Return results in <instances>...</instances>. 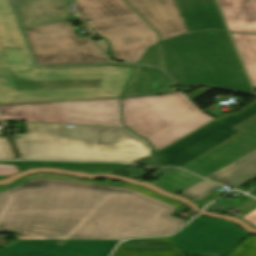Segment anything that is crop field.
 <instances>
[{"instance_id":"8a807250","label":"crop field","mask_w":256,"mask_h":256,"mask_svg":"<svg viewBox=\"0 0 256 256\" xmlns=\"http://www.w3.org/2000/svg\"><path fill=\"white\" fill-rule=\"evenodd\" d=\"M176 210L128 188L35 179L0 192V231L21 240L0 256H108L121 239L176 231Z\"/></svg>"},{"instance_id":"ac0d7876","label":"crop field","mask_w":256,"mask_h":256,"mask_svg":"<svg viewBox=\"0 0 256 256\" xmlns=\"http://www.w3.org/2000/svg\"><path fill=\"white\" fill-rule=\"evenodd\" d=\"M132 68L40 69L10 0H0V105L121 97Z\"/></svg>"},{"instance_id":"34b2d1b8","label":"crop field","mask_w":256,"mask_h":256,"mask_svg":"<svg viewBox=\"0 0 256 256\" xmlns=\"http://www.w3.org/2000/svg\"><path fill=\"white\" fill-rule=\"evenodd\" d=\"M21 159L114 161L134 164L150 144L129 129L27 123L13 136Z\"/></svg>"},{"instance_id":"412701ff","label":"crop field","mask_w":256,"mask_h":256,"mask_svg":"<svg viewBox=\"0 0 256 256\" xmlns=\"http://www.w3.org/2000/svg\"><path fill=\"white\" fill-rule=\"evenodd\" d=\"M162 47L166 71L179 85L207 84L254 94L227 32L190 33Z\"/></svg>"},{"instance_id":"f4fd0767","label":"crop field","mask_w":256,"mask_h":256,"mask_svg":"<svg viewBox=\"0 0 256 256\" xmlns=\"http://www.w3.org/2000/svg\"><path fill=\"white\" fill-rule=\"evenodd\" d=\"M124 123L163 149L214 120L182 92L122 98Z\"/></svg>"},{"instance_id":"dd49c442","label":"crop field","mask_w":256,"mask_h":256,"mask_svg":"<svg viewBox=\"0 0 256 256\" xmlns=\"http://www.w3.org/2000/svg\"><path fill=\"white\" fill-rule=\"evenodd\" d=\"M248 235L232 223L199 217L174 236L127 241L113 256H188L175 244L189 254H227ZM229 256H256V237L241 243Z\"/></svg>"},{"instance_id":"e52e79f7","label":"crop field","mask_w":256,"mask_h":256,"mask_svg":"<svg viewBox=\"0 0 256 256\" xmlns=\"http://www.w3.org/2000/svg\"><path fill=\"white\" fill-rule=\"evenodd\" d=\"M76 1L84 18L95 20L87 24L90 34H93L91 27H95L99 35L110 39L117 59L136 62L147 47L158 42L157 33L126 1Z\"/></svg>"},{"instance_id":"d8731c3e","label":"crop field","mask_w":256,"mask_h":256,"mask_svg":"<svg viewBox=\"0 0 256 256\" xmlns=\"http://www.w3.org/2000/svg\"><path fill=\"white\" fill-rule=\"evenodd\" d=\"M6 119L125 127L120 98L0 106Z\"/></svg>"},{"instance_id":"5a996713","label":"crop field","mask_w":256,"mask_h":256,"mask_svg":"<svg viewBox=\"0 0 256 256\" xmlns=\"http://www.w3.org/2000/svg\"><path fill=\"white\" fill-rule=\"evenodd\" d=\"M25 31L40 65L109 61L88 37H77L65 22Z\"/></svg>"},{"instance_id":"3316defc","label":"crop field","mask_w":256,"mask_h":256,"mask_svg":"<svg viewBox=\"0 0 256 256\" xmlns=\"http://www.w3.org/2000/svg\"><path fill=\"white\" fill-rule=\"evenodd\" d=\"M254 115L256 100L238 112L226 114L160 151V166H181L187 163L240 132L234 127Z\"/></svg>"},{"instance_id":"28ad6ade","label":"crop field","mask_w":256,"mask_h":256,"mask_svg":"<svg viewBox=\"0 0 256 256\" xmlns=\"http://www.w3.org/2000/svg\"><path fill=\"white\" fill-rule=\"evenodd\" d=\"M243 130L181 166L206 177L256 149V116L235 127Z\"/></svg>"},{"instance_id":"d1516ede","label":"crop field","mask_w":256,"mask_h":256,"mask_svg":"<svg viewBox=\"0 0 256 256\" xmlns=\"http://www.w3.org/2000/svg\"><path fill=\"white\" fill-rule=\"evenodd\" d=\"M157 31L161 40L187 32L175 0H127Z\"/></svg>"},{"instance_id":"22f410ed","label":"crop field","mask_w":256,"mask_h":256,"mask_svg":"<svg viewBox=\"0 0 256 256\" xmlns=\"http://www.w3.org/2000/svg\"><path fill=\"white\" fill-rule=\"evenodd\" d=\"M70 0H14L25 29L74 19Z\"/></svg>"},{"instance_id":"cbeb9de0","label":"crop field","mask_w":256,"mask_h":256,"mask_svg":"<svg viewBox=\"0 0 256 256\" xmlns=\"http://www.w3.org/2000/svg\"><path fill=\"white\" fill-rule=\"evenodd\" d=\"M189 31L226 29L214 0H176Z\"/></svg>"},{"instance_id":"5142ce71","label":"crop field","mask_w":256,"mask_h":256,"mask_svg":"<svg viewBox=\"0 0 256 256\" xmlns=\"http://www.w3.org/2000/svg\"><path fill=\"white\" fill-rule=\"evenodd\" d=\"M176 86L162 70L138 66L133 79L128 83L123 97L154 96L159 92Z\"/></svg>"},{"instance_id":"d9b57169","label":"crop field","mask_w":256,"mask_h":256,"mask_svg":"<svg viewBox=\"0 0 256 256\" xmlns=\"http://www.w3.org/2000/svg\"><path fill=\"white\" fill-rule=\"evenodd\" d=\"M231 31L256 33V0H217Z\"/></svg>"},{"instance_id":"733c2abd","label":"crop field","mask_w":256,"mask_h":256,"mask_svg":"<svg viewBox=\"0 0 256 256\" xmlns=\"http://www.w3.org/2000/svg\"><path fill=\"white\" fill-rule=\"evenodd\" d=\"M254 177L256 150L206 178L236 188Z\"/></svg>"},{"instance_id":"4a817a6b","label":"crop field","mask_w":256,"mask_h":256,"mask_svg":"<svg viewBox=\"0 0 256 256\" xmlns=\"http://www.w3.org/2000/svg\"><path fill=\"white\" fill-rule=\"evenodd\" d=\"M250 79L256 86V35L231 33Z\"/></svg>"},{"instance_id":"bc2a9ffb","label":"crop field","mask_w":256,"mask_h":256,"mask_svg":"<svg viewBox=\"0 0 256 256\" xmlns=\"http://www.w3.org/2000/svg\"><path fill=\"white\" fill-rule=\"evenodd\" d=\"M39 177H45V178H53V179H61V180H68V181H76V182H84V183H92V184H102V185H112V186H122V187H128L130 189H133L135 191H138L140 193H143L145 195H148L150 197H153L155 199H158L160 201H163L165 203H168V204H171L173 206H176L178 208H180L181 204L173 201V200H170V199H167V198H163L145 188H142V187H138V186H134V185H130V184H126L124 183V185H121V184H116V183H111V182H99V181H87V180H82V179H77V178H72V177H67V176H62V175H51V174H39V175H34V176H30V177H27L11 186H5V187H0V191H3V190H7V189H10L12 187H15V186H18V185H21L23 183H26L30 180H33L35 178H39Z\"/></svg>"},{"instance_id":"214f88e0","label":"crop field","mask_w":256,"mask_h":256,"mask_svg":"<svg viewBox=\"0 0 256 256\" xmlns=\"http://www.w3.org/2000/svg\"><path fill=\"white\" fill-rule=\"evenodd\" d=\"M201 179L202 178L196 175L178 169L158 179L153 183L168 191L179 192L191 186L192 184L198 182Z\"/></svg>"},{"instance_id":"92a150f3","label":"crop field","mask_w":256,"mask_h":256,"mask_svg":"<svg viewBox=\"0 0 256 256\" xmlns=\"http://www.w3.org/2000/svg\"><path fill=\"white\" fill-rule=\"evenodd\" d=\"M222 187L203 179L181 193L190 199L198 201Z\"/></svg>"},{"instance_id":"dafd665d","label":"crop field","mask_w":256,"mask_h":256,"mask_svg":"<svg viewBox=\"0 0 256 256\" xmlns=\"http://www.w3.org/2000/svg\"><path fill=\"white\" fill-rule=\"evenodd\" d=\"M125 167H127V165L106 163H83L81 171H88L91 173H115Z\"/></svg>"},{"instance_id":"00972430","label":"crop field","mask_w":256,"mask_h":256,"mask_svg":"<svg viewBox=\"0 0 256 256\" xmlns=\"http://www.w3.org/2000/svg\"><path fill=\"white\" fill-rule=\"evenodd\" d=\"M24 168L36 166H53L63 169L80 171L82 163H69V162H40V161H22Z\"/></svg>"},{"instance_id":"a9b5d70f","label":"crop field","mask_w":256,"mask_h":256,"mask_svg":"<svg viewBox=\"0 0 256 256\" xmlns=\"http://www.w3.org/2000/svg\"><path fill=\"white\" fill-rule=\"evenodd\" d=\"M0 159H16L9 142L5 137H0Z\"/></svg>"},{"instance_id":"4177f3b9","label":"crop field","mask_w":256,"mask_h":256,"mask_svg":"<svg viewBox=\"0 0 256 256\" xmlns=\"http://www.w3.org/2000/svg\"><path fill=\"white\" fill-rule=\"evenodd\" d=\"M242 218L256 226V210Z\"/></svg>"},{"instance_id":"730fd06b","label":"crop field","mask_w":256,"mask_h":256,"mask_svg":"<svg viewBox=\"0 0 256 256\" xmlns=\"http://www.w3.org/2000/svg\"><path fill=\"white\" fill-rule=\"evenodd\" d=\"M254 209H256V201L251 203V204H249L248 206L240 209L239 211H240V213H243L245 215V214L251 212Z\"/></svg>"},{"instance_id":"eef30255","label":"crop field","mask_w":256,"mask_h":256,"mask_svg":"<svg viewBox=\"0 0 256 256\" xmlns=\"http://www.w3.org/2000/svg\"><path fill=\"white\" fill-rule=\"evenodd\" d=\"M99 44V46L106 52L108 53L109 49H108V43L105 40H101L97 42Z\"/></svg>"},{"instance_id":"ae1a2a85","label":"crop field","mask_w":256,"mask_h":256,"mask_svg":"<svg viewBox=\"0 0 256 256\" xmlns=\"http://www.w3.org/2000/svg\"><path fill=\"white\" fill-rule=\"evenodd\" d=\"M0 163H6V164H13V165H17L18 166V168L22 171V170H24V168H20V167H23V165H22V162L21 161H16V162H0Z\"/></svg>"},{"instance_id":"d3111659","label":"crop field","mask_w":256,"mask_h":256,"mask_svg":"<svg viewBox=\"0 0 256 256\" xmlns=\"http://www.w3.org/2000/svg\"><path fill=\"white\" fill-rule=\"evenodd\" d=\"M253 200H254V199H250V200H248V201H246V202L240 204V205L237 206L236 208H239V207H241V206H243V205H245V204H247V203H249V202H251V201H253Z\"/></svg>"},{"instance_id":"750c4746","label":"crop field","mask_w":256,"mask_h":256,"mask_svg":"<svg viewBox=\"0 0 256 256\" xmlns=\"http://www.w3.org/2000/svg\"><path fill=\"white\" fill-rule=\"evenodd\" d=\"M250 194L256 197V188L253 191H251Z\"/></svg>"},{"instance_id":"bd1437ed","label":"crop field","mask_w":256,"mask_h":256,"mask_svg":"<svg viewBox=\"0 0 256 256\" xmlns=\"http://www.w3.org/2000/svg\"><path fill=\"white\" fill-rule=\"evenodd\" d=\"M2 119H5V116L4 115H1Z\"/></svg>"}]
</instances>
